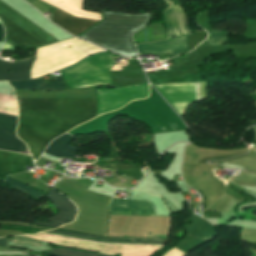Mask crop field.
Instances as JSON below:
<instances>
[{
    "label": "crop field",
    "mask_w": 256,
    "mask_h": 256,
    "mask_svg": "<svg viewBox=\"0 0 256 256\" xmlns=\"http://www.w3.org/2000/svg\"><path fill=\"white\" fill-rule=\"evenodd\" d=\"M3 37H4V30L2 25H0V42H3Z\"/></svg>",
    "instance_id": "25"
},
{
    "label": "crop field",
    "mask_w": 256,
    "mask_h": 256,
    "mask_svg": "<svg viewBox=\"0 0 256 256\" xmlns=\"http://www.w3.org/2000/svg\"><path fill=\"white\" fill-rule=\"evenodd\" d=\"M165 3H167V0H164Z\"/></svg>",
    "instance_id": "27"
},
{
    "label": "crop field",
    "mask_w": 256,
    "mask_h": 256,
    "mask_svg": "<svg viewBox=\"0 0 256 256\" xmlns=\"http://www.w3.org/2000/svg\"><path fill=\"white\" fill-rule=\"evenodd\" d=\"M26 171L23 155L0 151V178L8 174Z\"/></svg>",
    "instance_id": "15"
},
{
    "label": "crop field",
    "mask_w": 256,
    "mask_h": 256,
    "mask_svg": "<svg viewBox=\"0 0 256 256\" xmlns=\"http://www.w3.org/2000/svg\"><path fill=\"white\" fill-rule=\"evenodd\" d=\"M18 137L26 142L34 161L50 141L94 117L95 98H17Z\"/></svg>",
    "instance_id": "1"
},
{
    "label": "crop field",
    "mask_w": 256,
    "mask_h": 256,
    "mask_svg": "<svg viewBox=\"0 0 256 256\" xmlns=\"http://www.w3.org/2000/svg\"><path fill=\"white\" fill-rule=\"evenodd\" d=\"M5 183L11 185L10 188H12V189H14L16 191L27 193V194H30V195L35 196V197L42 198L43 196L46 195V194H43L41 192H36V191H34L32 189H29V188H27V187H25V186L15 182V181L11 180V179H9V178H6Z\"/></svg>",
    "instance_id": "21"
},
{
    "label": "crop field",
    "mask_w": 256,
    "mask_h": 256,
    "mask_svg": "<svg viewBox=\"0 0 256 256\" xmlns=\"http://www.w3.org/2000/svg\"><path fill=\"white\" fill-rule=\"evenodd\" d=\"M33 59L34 58L23 60V61H16L13 73L0 72V81L28 79V70Z\"/></svg>",
    "instance_id": "19"
},
{
    "label": "crop field",
    "mask_w": 256,
    "mask_h": 256,
    "mask_svg": "<svg viewBox=\"0 0 256 256\" xmlns=\"http://www.w3.org/2000/svg\"><path fill=\"white\" fill-rule=\"evenodd\" d=\"M138 52L170 53L180 55L187 52L186 35L172 38L167 41L136 45Z\"/></svg>",
    "instance_id": "10"
},
{
    "label": "crop field",
    "mask_w": 256,
    "mask_h": 256,
    "mask_svg": "<svg viewBox=\"0 0 256 256\" xmlns=\"http://www.w3.org/2000/svg\"><path fill=\"white\" fill-rule=\"evenodd\" d=\"M70 238L93 241L97 243H117V244H136V245H163L165 240L156 239H135V238H103L100 236H88L67 230L46 231ZM27 237L41 241H46L58 245L76 247L81 249L93 250L96 252L115 256L116 253L122 254V251H156L161 246H136V245H117V244H96L88 241L65 238L45 232L29 235ZM100 253L78 251L66 248H53L50 252L44 254L53 256H108ZM154 252H123L122 256H152Z\"/></svg>",
    "instance_id": "2"
},
{
    "label": "crop field",
    "mask_w": 256,
    "mask_h": 256,
    "mask_svg": "<svg viewBox=\"0 0 256 256\" xmlns=\"http://www.w3.org/2000/svg\"><path fill=\"white\" fill-rule=\"evenodd\" d=\"M70 45H72V48L68 49L67 46ZM62 46H65V48H62ZM100 51L103 50L78 38L37 48L36 59L31 67L30 79L48 74Z\"/></svg>",
    "instance_id": "4"
},
{
    "label": "crop field",
    "mask_w": 256,
    "mask_h": 256,
    "mask_svg": "<svg viewBox=\"0 0 256 256\" xmlns=\"http://www.w3.org/2000/svg\"><path fill=\"white\" fill-rule=\"evenodd\" d=\"M73 136L64 134L54 141H52L49 147L46 149L45 153L53 155L57 158L59 157H74L77 149L68 146V144L73 140Z\"/></svg>",
    "instance_id": "17"
},
{
    "label": "crop field",
    "mask_w": 256,
    "mask_h": 256,
    "mask_svg": "<svg viewBox=\"0 0 256 256\" xmlns=\"http://www.w3.org/2000/svg\"><path fill=\"white\" fill-rule=\"evenodd\" d=\"M210 239H212V238H207L205 240H210ZM205 240H200V239H197V238L187 235L184 240L180 241V243L176 246V248L187 254L193 248L207 242Z\"/></svg>",
    "instance_id": "20"
},
{
    "label": "crop field",
    "mask_w": 256,
    "mask_h": 256,
    "mask_svg": "<svg viewBox=\"0 0 256 256\" xmlns=\"http://www.w3.org/2000/svg\"><path fill=\"white\" fill-rule=\"evenodd\" d=\"M51 21L59 24L58 26L64 28L75 36L97 22L96 20L73 17L57 8L55 9Z\"/></svg>",
    "instance_id": "11"
},
{
    "label": "crop field",
    "mask_w": 256,
    "mask_h": 256,
    "mask_svg": "<svg viewBox=\"0 0 256 256\" xmlns=\"http://www.w3.org/2000/svg\"><path fill=\"white\" fill-rule=\"evenodd\" d=\"M118 57L109 52L95 54L61 70V73L69 89L111 84L109 69L113 59Z\"/></svg>",
    "instance_id": "5"
},
{
    "label": "crop field",
    "mask_w": 256,
    "mask_h": 256,
    "mask_svg": "<svg viewBox=\"0 0 256 256\" xmlns=\"http://www.w3.org/2000/svg\"><path fill=\"white\" fill-rule=\"evenodd\" d=\"M163 21L170 37L190 33L185 22L183 11L173 5L163 13Z\"/></svg>",
    "instance_id": "12"
},
{
    "label": "crop field",
    "mask_w": 256,
    "mask_h": 256,
    "mask_svg": "<svg viewBox=\"0 0 256 256\" xmlns=\"http://www.w3.org/2000/svg\"><path fill=\"white\" fill-rule=\"evenodd\" d=\"M111 214L154 216L153 206L141 200H122L113 198L110 205Z\"/></svg>",
    "instance_id": "9"
},
{
    "label": "crop field",
    "mask_w": 256,
    "mask_h": 256,
    "mask_svg": "<svg viewBox=\"0 0 256 256\" xmlns=\"http://www.w3.org/2000/svg\"><path fill=\"white\" fill-rule=\"evenodd\" d=\"M9 247L26 248L28 250H35L40 252L52 249V247L49 246V243L32 240L23 236L7 239L6 247H0V250L25 252V250L11 249Z\"/></svg>",
    "instance_id": "16"
},
{
    "label": "crop field",
    "mask_w": 256,
    "mask_h": 256,
    "mask_svg": "<svg viewBox=\"0 0 256 256\" xmlns=\"http://www.w3.org/2000/svg\"><path fill=\"white\" fill-rule=\"evenodd\" d=\"M6 238L0 239V246H5Z\"/></svg>",
    "instance_id": "26"
},
{
    "label": "crop field",
    "mask_w": 256,
    "mask_h": 256,
    "mask_svg": "<svg viewBox=\"0 0 256 256\" xmlns=\"http://www.w3.org/2000/svg\"><path fill=\"white\" fill-rule=\"evenodd\" d=\"M47 197L57 208L60 209V212L48 221L67 222L74 220L76 215V206L73 203L69 202L65 197L53 190H50Z\"/></svg>",
    "instance_id": "13"
},
{
    "label": "crop field",
    "mask_w": 256,
    "mask_h": 256,
    "mask_svg": "<svg viewBox=\"0 0 256 256\" xmlns=\"http://www.w3.org/2000/svg\"><path fill=\"white\" fill-rule=\"evenodd\" d=\"M34 225L49 226V227H59L61 224H56V223H36V222H34Z\"/></svg>",
    "instance_id": "24"
},
{
    "label": "crop field",
    "mask_w": 256,
    "mask_h": 256,
    "mask_svg": "<svg viewBox=\"0 0 256 256\" xmlns=\"http://www.w3.org/2000/svg\"><path fill=\"white\" fill-rule=\"evenodd\" d=\"M175 111L182 116L190 103L196 101L194 83L154 85Z\"/></svg>",
    "instance_id": "7"
},
{
    "label": "crop field",
    "mask_w": 256,
    "mask_h": 256,
    "mask_svg": "<svg viewBox=\"0 0 256 256\" xmlns=\"http://www.w3.org/2000/svg\"><path fill=\"white\" fill-rule=\"evenodd\" d=\"M186 230L188 234L201 238L216 235L213 225L193 214L192 223L186 225Z\"/></svg>",
    "instance_id": "18"
},
{
    "label": "crop field",
    "mask_w": 256,
    "mask_h": 256,
    "mask_svg": "<svg viewBox=\"0 0 256 256\" xmlns=\"http://www.w3.org/2000/svg\"><path fill=\"white\" fill-rule=\"evenodd\" d=\"M16 122L17 116L0 112V149L21 153L27 148L15 137Z\"/></svg>",
    "instance_id": "8"
},
{
    "label": "crop field",
    "mask_w": 256,
    "mask_h": 256,
    "mask_svg": "<svg viewBox=\"0 0 256 256\" xmlns=\"http://www.w3.org/2000/svg\"><path fill=\"white\" fill-rule=\"evenodd\" d=\"M209 38L204 43L209 45L225 44L228 39V35L225 32L209 31Z\"/></svg>",
    "instance_id": "22"
},
{
    "label": "crop field",
    "mask_w": 256,
    "mask_h": 256,
    "mask_svg": "<svg viewBox=\"0 0 256 256\" xmlns=\"http://www.w3.org/2000/svg\"><path fill=\"white\" fill-rule=\"evenodd\" d=\"M97 97L99 99L97 115H99L110 110L121 108L133 99L148 97V84L120 88L111 91L97 90Z\"/></svg>",
    "instance_id": "6"
},
{
    "label": "crop field",
    "mask_w": 256,
    "mask_h": 256,
    "mask_svg": "<svg viewBox=\"0 0 256 256\" xmlns=\"http://www.w3.org/2000/svg\"><path fill=\"white\" fill-rule=\"evenodd\" d=\"M9 84L17 90L59 91L67 89L62 77L57 76H55V82L52 83L44 82L39 78L31 81L9 82Z\"/></svg>",
    "instance_id": "14"
},
{
    "label": "crop field",
    "mask_w": 256,
    "mask_h": 256,
    "mask_svg": "<svg viewBox=\"0 0 256 256\" xmlns=\"http://www.w3.org/2000/svg\"><path fill=\"white\" fill-rule=\"evenodd\" d=\"M150 13L124 15L103 12V21L79 37L124 56H136L130 35L147 24Z\"/></svg>",
    "instance_id": "3"
},
{
    "label": "crop field",
    "mask_w": 256,
    "mask_h": 256,
    "mask_svg": "<svg viewBox=\"0 0 256 256\" xmlns=\"http://www.w3.org/2000/svg\"><path fill=\"white\" fill-rule=\"evenodd\" d=\"M13 66H14L13 63H9V62L0 60V70L1 71H10V72H12Z\"/></svg>",
    "instance_id": "23"
}]
</instances>
